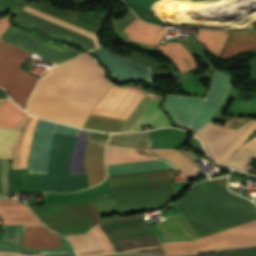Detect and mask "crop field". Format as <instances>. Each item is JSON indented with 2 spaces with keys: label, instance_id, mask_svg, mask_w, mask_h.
<instances>
[{
  "label": "crop field",
  "instance_id": "1",
  "mask_svg": "<svg viewBox=\"0 0 256 256\" xmlns=\"http://www.w3.org/2000/svg\"><path fill=\"white\" fill-rule=\"evenodd\" d=\"M48 80L101 98L110 86L105 74L85 54L54 67L43 76ZM41 78L29 102L28 111L49 120L84 126L99 99Z\"/></svg>",
  "mask_w": 256,
  "mask_h": 256
},
{
  "label": "crop field",
  "instance_id": "2",
  "mask_svg": "<svg viewBox=\"0 0 256 256\" xmlns=\"http://www.w3.org/2000/svg\"><path fill=\"white\" fill-rule=\"evenodd\" d=\"M226 180L204 181L176 201L201 237L256 219V208L226 188Z\"/></svg>",
  "mask_w": 256,
  "mask_h": 256
},
{
  "label": "crop field",
  "instance_id": "3",
  "mask_svg": "<svg viewBox=\"0 0 256 256\" xmlns=\"http://www.w3.org/2000/svg\"><path fill=\"white\" fill-rule=\"evenodd\" d=\"M2 38L56 64L78 56L11 25ZM32 55L0 38V86L23 108L39 79L19 68Z\"/></svg>",
  "mask_w": 256,
  "mask_h": 256
},
{
  "label": "crop field",
  "instance_id": "4",
  "mask_svg": "<svg viewBox=\"0 0 256 256\" xmlns=\"http://www.w3.org/2000/svg\"><path fill=\"white\" fill-rule=\"evenodd\" d=\"M76 137L54 134L49 158V172L41 175L42 191L71 192L87 188L86 174L69 175V159ZM91 142L85 152V168L89 187L99 184L105 177L104 147Z\"/></svg>",
  "mask_w": 256,
  "mask_h": 256
},
{
  "label": "crop field",
  "instance_id": "5",
  "mask_svg": "<svg viewBox=\"0 0 256 256\" xmlns=\"http://www.w3.org/2000/svg\"><path fill=\"white\" fill-rule=\"evenodd\" d=\"M230 86L228 76L215 71L211 89L205 98L169 95L164 106L175 123L193 130L197 135L208 125Z\"/></svg>",
  "mask_w": 256,
  "mask_h": 256
},
{
  "label": "crop field",
  "instance_id": "6",
  "mask_svg": "<svg viewBox=\"0 0 256 256\" xmlns=\"http://www.w3.org/2000/svg\"><path fill=\"white\" fill-rule=\"evenodd\" d=\"M106 163L107 176L174 169L171 163L160 157L110 161ZM165 170L107 177L113 192L173 186L169 172Z\"/></svg>",
  "mask_w": 256,
  "mask_h": 256
},
{
  "label": "crop field",
  "instance_id": "7",
  "mask_svg": "<svg viewBox=\"0 0 256 256\" xmlns=\"http://www.w3.org/2000/svg\"><path fill=\"white\" fill-rule=\"evenodd\" d=\"M53 133L77 136L70 159V174L86 173L84 152L91 132L40 119L33 134L28 160V173H47Z\"/></svg>",
  "mask_w": 256,
  "mask_h": 256
},
{
  "label": "crop field",
  "instance_id": "8",
  "mask_svg": "<svg viewBox=\"0 0 256 256\" xmlns=\"http://www.w3.org/2000/svg\"><path fill=\"white\" fill-rule=\"evenodd\" d=\"M30 209L54 231L90 227L103 220L92 201L36 206Z\"/></svg>",
  "mask_w": 256,
  "mask_h": 256
},
{
  "label": "crop field",
  "instance_id": "9",
  "mask_svg": "<svg viewBox=\"0 0 256 256\" xmlns=\"http://www.w3.org/2000/svg\"><path fill=\"white\" fill-rule=\"evenodd\" d=\"M256 132V121H249L239 130L210 126L198 137L207 153L221 164Z\"/></svg>",
  "mask_w": 256,
  "mask_h": 256
},
{
  "label": "crop field",
  "instance_id": "10",
  "mask_svg": "<svg viewBox=\"0 0 256 256\" xmlns=\"http://www.w3.org/2000/svg\"><path fill=\"white\" fill-rule=\"evenodd\" d=\"M22 11L27 12L31 15H34L36 17H39V18L44 19L46 21H49L53 24H56L58 26L66 28L70 31H73L75 33H78L80 35H83L85 37H88L92 40L97 41V35L96 34L91 33L89 31H86V30H84L82 28H79L77 26H74L72 24H69L67 22H64V21H62L60 19H57L55 17H52L50 15H47L45 13H42L38 10H35V9L30 8L28 6H25ZM22 11L15 17V21L18 22V23H21L25 26H39L46 33L69 38L72 41L78 43L79 45H81V46H83V47H85L89 50L94 49V48L99 46V44L97 43L98 41L97 42L92 41L88 38H85L83 36H80L78 34L70 32L66 29H63V28L58 27L56 25H53L49 22H46L44 20H41V19L36 18L34 16H31L27 13L22 12Z\"/></svg>",
  "mask_w": 256,
  "mask_h": 256
},
{
  "label": "crop field",
  "instance_id": "11",
  "mask_svg": "<svg viewBox=\"0 0 256 256\" xmlns=\"http://www.w3.org/2000/svg\"><path fill=\"white\" fill-rule=\"evenodd\" d=\"M145 94L139 89L112 83L91 115L126 120Z\"/></svg>",
  "mask_w": 256,
  "mask_h": 256
},
{
  "label": "crop field",
  "instance_id": "12",
  "mask_svg": "<svg viewBox=\"0 0 256 256\" xmlns=\"http://www.w3.org/2000/svg\"><path fill=\"white\" fill-rule=\"evenodd\" d=\"M196 253L256 244V220L192 240Z\"/></svg>",
  "mask_w": 256,
  "mask_h": 256
},
{
  "label": "crop field",
  "instance_id": "13",
  "mask_svg": "<svg viewBox=\"0 0 256 256\" xmlns=\"http://www.w3.org/2000/svg\"><path fill=\"white\" fill-rule=\"evenodd\" d=\"M91 52L97 56L101 62L106 64V66L112 71L111 75L118 82H121L124 79H152L153 69L145 63L132 60L128 57H121L103 47Z\"/></svg>",
  "mask_w": 256,
  "mask_h": 256
},
{
  "label": "crop field",
  "instance_id": "14",
  "mask_svg": "<svg viewBox=\"0 0 256 256\" xmlns=\"http://www.w3.org/2000/svg\"><path fill=\"white\" fill-rule=\"evenodd\" d=\"M159 100L150 98L147 94L134 109L125 123L122 125L119 132L125 131H141V124H147L151 115L155 111ZM167 118L162 111L157 107L153 116L149 120L148 124L153 126H164L167 122Z\"/></svg>",
  "mask_w": 256,
  "mask_h": 256
},
{
  "label": "crop field",
  "instance_id": "15",
  "mask_svg": "<svg viewBox=\"0 0 256 256\" xmlns=\"http://www.w3.org/2000/svg\"><path fill=\"white\" fill-rule=\"evenodd\" d=\"M119 208L157 205L173 195V187L113 193Z\"/></svg>",
  "mask_w": 256,
  "mask_h": 256
},
{
  "label": "crop field",
  "instance_id": "16",
  "mask_svg": "<svg viewBox=\"0 0 256 256\" xmlns=\"http://www.w3.org/2000/svg\"><path fill=\"white\" fill-rule=\"evenodd\" d=\"M111 244L115 253L166 255L158 234L112 241Z\"/></svg>",
  "mask_w": 256,
  "mask_h": 256
},
{
  "label": "crop field",
  "instance_id": "17",
  "mask_svg": "<svg viewBox=\"0 0 256 256\" xmlns=\"http://www.w3.org/2000/svg\"><path fill=\"white\" fill-rule=\"evenodd\" d=\"M28 6L38 9L42 12L60 18L64 21L82 27L94 33H98L102 24V16L97 13L93 15L91 12H74L65 10H53L38 6L34 3H29Z\"/></svg>",
  "mask_w": 256,
  "mask_h": 256
},
{
  "label": "crop field",
  "instance_id": "18",
  "mask_svg": "<svg viewBox=\"0 0 256 256\" xmlns=\"http://www.w3.org/2000/svg\"><path fill=\"white\" fill-rule=\"evenodd\" d=\"M37 120L38 118L30 114L24 118L16 138L12 169L27 168L32 134Z\"/></svg>",
  "mask_w": 256,
  "mask_h": 256
},
{
  "label": "crop field",
  "instance_id": "19",
  "mask_svg": "<svg viewBox=\"0 0 256 256\" xmlns=\"http://www.w3.org/2000/svg\"><path fill=\"white\" fill-rule=\"evenodd\" d=\"M0 216L3 225H28L41 223L29 210L27 205L11 199L0 200Z\"/></svg>",
  "mask_w": 256,
  "mask_h": 256
},
{
  "label": "crop field",
  "instance_id": "20",
  "mask_svg": "<svg viewBox=\"0 0 256 256\" xmlns=\"http://www.w3.org/2000/svg\"><path fill=\"white\" fill-rule=\"evenodd\" d=\"M24 248L53 249L60 247V236L52 233L44 225L24 226Z\"/></svg>",
  "mask_w": 256,
  "mask_h": 256
},
{
  "label": "crop field",
  "instance_id": "21",
  "mask_svg": "<svg viewBox=\"0 0 256 256\" xmlns=\"http://www.w3.org/2000/svg\"><path fill=\"white\" fill-rule=\"evenodd\" d=\"M99 225L105 230L110 240L131 235L150 233L141 216L118 221L105 222Z\"/></svg>",
  "mask_w": 256,
  "mask_h": 256
},
{
  "label": "crop field",
  "instance_id": "22",
  "mask_svg": "<svg viewBox=\"0 0 256 256\" xmlns=\"http://www.w3.org/2000/svg\"><path fill=\"white\" fill-rule=\"evenodd\" d=\"M154 153L174 163L185 177L200 176L202 173L194 163L199 160L190 151L172 149H150Z\"/></svg>",
  "mask_w": 256,
  "mask_h": 256
},
{
  "label": "crop field",
  "instance_id": "23",
  "mask_svg": "<svg viewBox=\"0 0 256 256\" xmlns=\"http://www.w3.org/2000/svg\"><path fill=\"white\" fill-rule=\"evenodd\" d=\"M166 220L158 223L165 239L196 238L198 234L188 223L182 213L165 217Z\"/></svg>",
  "mask_w": 256,
  "mask_h": 256
},
{
  "label": "crop field",
  "instance_id": "24",
  "mask_svg": "<svg viewBox=\"0 0 256 256\" xmlns=\"http://www.w3.org/2000/svg\"><path fill=\"white\" fill-rule=\"evenodd\" d=\"M163 31L164 29L159 26L144 23L138 19L123 30V32L130 35L129 39L139 41L154 48H156L157 42L163 38Z\"/></svg>",
  "mask_w": 256,
  "mask_h": 256
},
{
  "label": "crop field",
  "instance_id": "25",
  "mask_svg": "<svg viewBox=\"0 0 256 256\" xmlns=\"http://www.w3.org/2000/svg\"><path fill=\"white\" fill-rule=\"evenodd\" d=\"M158 48L172 59L182 73L197 68L192 54L179 42H166L165 46L158 44Z\"/></svg>",
  "mask_w": 256,
  "mask_h": 256
},
{
  "label": "crop field",
  "instance_id": "26",
  "mask_svg": "<svg viewBox=\"0 0 256 256\" xmlns=\"http://www.w3.org/2000/svg\"><path fill=\"white\" fill-rule=\"evenodd\" d=\"M254 46H256V32H230L220 59L227 60L233 57L236 52H243Z\"/></svg>",
  "mask_w": 256,
  "mask_h": 256
},
{
  "label": "crop field",
  "instance_id": "27",
  "mask_svg": "<svg viewBox=\"0 0 256 256\" xmlns=\"http://www.w3.org/2000/svg\"><path fill=\"white\" fill-rule=\"evenodd\" d=\"M12 193L19 191H41L39 175L27 174V169L12 170Z\"/></svg>",
  "mask_w": 256,
  "mask_h": 256
},
{
  "label": "crop field",
  "instance_id": "28",
  "mask_svg": "<svg viewBox=\"0 0 256 256\" xmlns=\"http://www.w3.org/2000/svg\"><path fill=\"white\" fill-rule=\"evenodd\" d=\"M154 156L156 155L152 154L149 149L118 147L109 144L105 151V161Z\"/></svg>",
  "mask_w": 256,
  "mask_h": 256
},
{
  "label": "crop field",
  "instance_id": "29",
  "mask_svg": "<svg viewBox=\"0 0 256 256\" xmlns=\"http://www.w3.org/2000/svg\"><path fill=\"white\" fill-rule=\"evenodd\" d=\"M26 114L12 101L6 100L0 108V127L17 129Z\"/></svg>",
  "mask_w": 256,
  "mask_h": 256
},
{
  "label": "crop field",
  "instance_id": "30",
  "mask_svg": "<svg viewBox=\"0 0 256 256\" xmlns=\"http://www.w3.org/2000/svg\"><path fill=\"white\" fill-rule=\"evenodd\" d=\"M229 32L201 30L196 39L203 42L206 47L219 58Z\"/></svg>",
  "mask_w": 256,
  "mask_h": 256
},
{
  "label": "crop field",
  "instance_id": "31",
  "mask_svg": "<svg viewBox=\"0 0 256 256\" xmlns=\"http://www.w3.org/2000/svg\"><path fill=\"white\" fill-rule=\"evenodd\" d=\"M252 156L256 157V136L243 146L225 166L246 172L247 163Z\"/></svg>",
  "mask_w": 256,
  "mask_h": 256
},
{
  "label": "crop field",
  "instance_id": "32",
  "mask_svg": "<svg viewBox=\"0 0 256 256\" xmlns=\"http://www.w3.org/2000/svg\"><path fill=\"white\" fill-rule=\"evenodd\" d=\"M110 144L148 148V132L111 134Z\"/></svg>",
  "mask_w": 256,
  "mask_h": 256
},
{
  "label": "crop field",
  "instance_id": "33",
  "mask_svg": "<svg viewBox=\"0 0 256 256\" xmlns=\"http://www.w3.org/2000/svg\"><path fill=\"white\" fill-rule=\"evenodd\" d=\"M18 130L0 128V158L11 160L12 148Z\"/></svg>",
  "mask_w": 256,
  "mask_h": 256
},
{
  "label": "crop field",
  "instance_id": "34",
  "mask_svg": "<svg viewBox=\"0 0 256 256\" xmlns=\"http://www.w3.org/2000/svg\"><path fill=\"white\" fill-rule=\"evenodd\" d=\"M23 226H8L7 241L0 242V249L15 251L21 249Z\"/></svg>",
  "mask_w": 256,
  "mask_h": 256
},
{
  "label": "crop field",
  "instance_id": "35",
  "mask_svg": "<svg viewBox=\"0 0 256 256\" xmlns=\"http://www.w3.org/2000/svg\"><path fill=\"white\" fill-rule=\"evenodd\" d=\"M121 123L122 121L119 120L90 117L85 128L112 132L117 131Z\"/></svg>",
  "mask_w": 256,
  "mask_h": 256
},
{
  "label": "crop field",
  "instance_id": "36",
  "mask_svg": "<svg viewBox=\"0 0 256 256\" xmlns=\"http://www.w3.org/2000/svg\"><path fill=\"white\" fill-rule=\"evenodd\" d=\"M86 237L89 243L88 247L76 250L77 253L95 250V249H101V248H104L106 254L109 253L106 244L104 243L103 239L94 228L89 230Z\"/></svg>",
  "mask_w": 256,
  "mask_h": 256
},
{
  "label": "crop field",
  "instance_id": "37",
  "mask_svg": "<svg viewBox=\"0 0 256 256\" xmlns=\"http://www.w3.org/2000/svg\"><path fill=\"white\" fill-rule=\"evenodd\" d=\"M25 5H27V3L23 0H0V13L13 11L18 14Z\"/></svg>",
  "mask_w": 256,
  "mask_h": 256
},
{
  "label": "crop field",
  "instance_id": "38",
  "mask_svg": "<svg viewBox=\"0 0 256 256\" xmlns=\"http://www.w3.org/2000/svg\"><path fill=\"white\" fill-rule=\"evenodd\" d=\"M198 256H256V247L219 252L215 254L198 255Z\"/></svg>",
  "mask_w": 256,
  "mask_h": 256
},
{
  "label": "crop field",
  "instance_id": "39",
  "mask_svg": "<svg viewBox=\"0 0 256 256\" xmlns=\"http://www.w3.org/2000/svg\"><path fill=\"white\" fill-rule=\"evenodd\" d=\"M10 161L0 160V185L1 193L9 194L7 184V173L10 165Z\"/></svg>",
  "mask_w": 256,
  "mask_h": 256
},
{
  "label": "crop field",
  "instance_id": "40",
  "mask_svg": "<svg viewBox=\"0 0 256 256\" xmlns=\"http://www.w3.org/2000/svg\"><path fill=\"white\" fill-rule=\"evenodd\" d=\"M85 233L82 234H74V235H67L65 236L67 239H69L73 245L74 248H79V247H86V239L84 236Z\"/></svg>",
  "mask_w": 256,
  "mask_h": 256
},
{
  "label": "crop field",
  "instance_id": "41",
  "mask_svg": "<svg viewBox=\"0 0 256 256\" xmlns=\"http://www.w3.org/2000/svg\"><path fill=\"white\" fill-rule=\"evenodd\" d=\"M0 256H41V252H9L0 250Z\"/></svg>",
  "mask_w": 256,
  "mask_h": 256
},
{
  "label": "crop field",
  "instance_id": "42",
  "mask_svg": "<svg viewBox=\"0 0 256 256\" xmlns=\"http://www.w3.org/2000/svg\"><path fill=\"white\" fill-rule=\"evenodd\" d=\"M61 246L62 249H57V250H41L42 252H55V251H69L73 250L71 244L63 237H61Z\"/></svg>",
  "mask_w": 256,
  "mask_h": 256
},
{
  "label": "crop field",
  "instance_id": "43",
  "mask_svg": "<svg viewBox=\"0 0 256 256\" xmlns=\"http://www.w3.org/2000/svg\"><path fill=\"white\" fill-rule=\"evenodd\" d=\"M9 22H10V15L0 19L1 36L5 32V30L8 28Z\"/></svg>",
  "mask_w": 256,
  "mask_h": 256
},
{
  "label": "crop field",
  "instance_id": "44",
  "mask_svg": "<svg viewBox=\"0 0 256 256\" xmlns=\"http://www.w3.org/2000/svg\"><path fill=\"white\" fill-rule=\"evenodd\" d=\"M107 136L106 134L94 132L91 140L105 143Z\"/></svg>",
  "mask_w": 256,
  "mask_h": 256
},
{
  "label": "crop field",
  "instance_id": "45",
  "mask_svg": "<svg viewBox=\"0 0 256 256\" xmlns=\"http://www.w3.org/2000/svg\"><path fill=\"white\" fill-rule=\"evenodd\" d=\"M42 256H75L74 253L42 254Z\"/></svg>",
  "mask_w": 256,
  "mask_h": 256
},
{
  "label": "crop field",
  "instance_id": "46",
  "mask_svg": "<svg viewBox=\"0 0 256 256\" xmlns=\"http://www.w3.org/2000/svg\"><path fill=\"white\" fill-rule=\"evenodd\" d=\"M207 62L209 64V70H208V72H207V74L205 76V79H209L210 78V75H211V73H212V71L214 69V65L212 64V62L211 61H207Z\"/></svg>",
  "mask_w": 256,
  "mask_h": 256
},
{
  "label": "crop field",
  "instance_id": "47",
  "mask_svg": "<svg viewBox=\"0 0 256 256\" xmlns=\"http://www.w3.org/2000/svg\"><path fill=\"white\" fill-rule=\"evenodd\" d=\"M0 99H8L6 93L4 91H2L1 89H0Z\"/></svg>",
  "mask_w": 256,
  "mask_h": 256
},
{
  "label": "crop field",
  "instance_id": "48",
  "mask_svg": "<svg viewBox=\"0 0 256 256\" xmlns=\"http://www.w3.org/2000/svg\"><path fill=\"white\" fill-rule=\"evenodd\" d=\"M3 197H7V196H6V195H1V194H0V198H3Z\"/></svg>",
  "mask_w": 256,
  "mask_h": 256
},
{
  "label": "crop field",
  "instance_id": "49",
  "mask_svg": "<svg viewBox=\"0 0 256 256\" xmlns=\"http://www.w3.org/2000/svg\"><path fill=\"white\" fill-rule=\"evenodd\" d=\"M4 102V100H0V106H1V104Z\"/></svg>",
  "mask_w": 256,
  "mask_h": 256
},
{
  "label": "crop field",
  "instance_id": "50",
  "mask_svg": "<svg viewBox=\"0 0 256 256\" xmlns=\"http://www.w3.org/2000/svg\"><path fill=\"white\" fill-rule=\"evenodd\" d=\"M12 164V163H11ZM10 168H11V166H10ZM10 168H9V172H10ZM9 191H10V186H9ZM10 194H11V192H10Z\"/></svg>",
  "mask_w": 256,
  "mask_h": 256
}]
</instances>
